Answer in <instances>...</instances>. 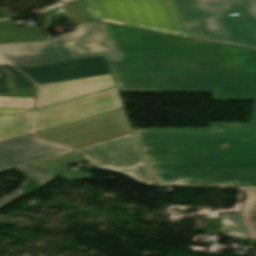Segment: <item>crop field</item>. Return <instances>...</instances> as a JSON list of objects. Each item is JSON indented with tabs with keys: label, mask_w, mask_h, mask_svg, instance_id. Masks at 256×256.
Wrapping results in <instances>:
<instances>
[{
	"label": "crop field",
	"mask_w": 256,
	"mask_h": 256,
	"mask_svg": "<svg viewBox=\"0 0 256 256\" xmlns=\"http://www.w3.org/2000/svg\"><path fill=\"white\" fill-rule=\"evenodd\" d=\"M121 62H108L120 91L214 92L256 100V51L106 23ZM212 129H134L143 152L256 154L253 123Z\"/></svg>",
	"instance_id": "crop-field-1"
},
{
	"label": "crop field",
	"mask_w": 256,
	"mask_h": 256,
	"mask_svg": "<svg viewBox=\"0 0 256 256\" xmlns=\"http://www.w3.org/2000/svg\"><path fill=\"white\" fill-rule=\"evenodd\" d=\"M36 135L71 146L98 168L155 185L124 108Z\"/></svg>",
	"instance_id": "crop-field-2"
},
{
	"label": "crop field",
	"mask_w": 256,
	"mask_h": 256,
	"mask_svg": "<svg viewBox=\"0 0 256 256\" xmlns=\"http://www.w3.org/2000/svg\"><path fill=\"white\" fill-rule=\"evenodd\" d=\"M156 185L256 187V155L143 153Z\"/></svg>",
	"instance_id": "crop-field-3"
},
{
	"label": "crop field",
	"mask_w": 256,
	"mask_h": 256,
	"mask_svg": "<svg viewBox=\"0 0 256 256\" xmlns=\"http://www.w3.org/2000/svg\"><path fill=\"white\" fill-rule=\"evenodd\" d=\"M190 37L256 50V0H176ZM239 13V16L228 14Z\"/></svg>",
	"instance_id": "crop-field-4"
},
{
	"label": "crop field",
	"mask_w": 256,
	"mask_h": 256,
	"mask_svg": "<svg viewBox=\"0 0 256 256\" xmlns=\"http://www.w3.org/2000/svg\"><path fill=\"white\" fill-rule=\"evenodd\" d=\"M0 53L21 68L101 55L120 61L105 22L94 20L51 41L0 46Z\"/></svg>",
	"instance_id": "crop-field-5"
},
{
	"label": "crop field",
	"mask_w": 256,
	"mask_h": 256,
	"mask_svg": "<svg viewBox=\"0 0 256 256\" xmlns=\"http://www.w3.org/2000/svg\"><path fill=\"white\" fill-rule=\"evenodd\" d=\"M91 18L188 36L175 0H83Z\"/></svg>",
	"instance_id": "crop-field-6"
},
{
	"label": "crop field",
	"mask_w": 256,
	"mask_h": 256,
	"mask_svg": "<svg viewBox=\"0 0 256 256\" xmlns=\"http://www.w3.org/2000/svg\"><path fill=\"white\" fill-rule=\"evenodd\" d=\"M117 87L90 96L38 109L35 133L122 108Z\"/></svg>",
	"instance_id": "crop-field-7"
},
{
	"label": "crop field",
	"mask_w": 256,
	"mask_h": 256,
	"mask_svg": "<svg viewBox=\"0 0 256 256\" xmlns=\"http://www.w3.org/2000/svg\"><path fill=\"white\" fill-rule=\"evenodd\" d=\"M72 151L64 145L41 141L29 134L0 143V173Z\"/></svg>",
	"instance_id": "crop-field-8"
},
{
	"label": "crop field",
	"mask_w": 256,
	"mask_h": 256,
	"mask_svg": "<svg viewBox=\"0 0 256 256\" xmlns=\"http://www.w3.org/2000/svg\"><path fill=\"white\" fill-rule=\"evenodd\" d=\"M18 69L38 85L111 73L104 56Z\"/></svg>",
	"instance_id": "crop-field-9"
},
{
	"label": "crop field",
	"mask_w": 256,
	"mask_h": 256,
	"mask_svg": "<svg viewBox=\"0 0 256 256\" xmlns=\"http://www.w3.org/2000/svg\"><path fill=\"white\" fill-rule=\"evenodd\" d=\"M111 76L102 75L39 86L37 109L115 87Z\"/></svg>",
	"instance_id": "crop-field-10"
},
{
	"label": "crop field",
	"mask_w": 256,
	"mask_h": 256,
	"mask_svg": "<svg viewBox=\"0 0 256 256\" xmlns=\"http://www.w3.org/2000/svg\"><path fill=\"white\" fill-rule=\"evenodd\" d=\"M34 110L0 109V140L32 131Z\"/></svg>",
	"instance_id": "crop-field-11"
},
{
	"label": "crop field",
	"mask_w": 256,
	"mask_h": 256,
	"mask_svg": "<svg viewBox=\"0 0 256 256\" xmlns=\"http://www.w3.org/2000/svg\"><path fill=\"white\" fill-rule=\"evenodd\" d=\"M47 40L38 27L18 29L10 21L0 22V44Z\"/></svg>",
	"instance_id": "crop-field-12"
},
{
	"label": "crop field",
	"mask_w": 256,
	"mask_h": 256,
	"mask_svg": "<svg viewBox=\"0 0 256 256\" xmlns=\"http://www.w3.org/2000/svg\"><path fill=\"white\" fill-rule=\"evenodd\" d=\"M83 161L84 160L81 159L76 153L72 152L35 164H31V166L40 168L63 178L80 180L81 178L64 169V167Z\"/></svg>",
	"instance_id": "crop-field-13"
},
{
	"label": "crop field",
	"mask_w": 256,
	"mask_h": 256,
	"mask_svg": "<svg viewBox=\"0 0 256 256\" xmlns=\"http://www.w3.org/2000/svg\"><path fill=\"white\" fill-rule=\"evenodd\" d=\"M37 86L0 95V108L34 109Z\"/></svg>",
	"instance_id": "crop-field-14"
},
{
	"label": "crop field",
	"mask_w": 256,
	"mask_h": 256,
	"mask_svg": "<svg viewBox=\"0 0 256 256\" xmlns=\"http://www.w3.org/2000/svg\"><path fill=\"white\" fill-rule=\"evenodd\" d=\"M0 75V93L36 85L12 65H0Z\"/></svg>",
	"instance_id": "crop-field-15"
},
{
	"label": "crop field",
	"mask_w": 256,
	"mask_h": 256,
	"mask_svg": "<svg viewBox=\"0 0 256 256\" xmlns=\"http://www.w3.org/2000/svg\"><path fill=\"white\" fill-rule=\"evenodd\" d=\"M246 199L241 210V218L250 239H256V189H243Z\"/></svg>",
	"instance_id": "crop-field-16"
},
{
	"label": "crop field",
	"mask_w": 256,
	"mask_h": 256,
	"mask_svg": "<svg viewBox=\"0 0 256 256\" xmlns=\"http://www.w3.org/2000/svg\"><path fill=\"white\" fill-rule=\"evenodd\" d=\"M221 219L225 226L221 229L223 235L230 238L249 239L240 218V213H224Z\"/></svg>",
	"instance_id": "crop-field-17"
},
{
	"label": "crop field",
	"mask_w": 256,
	"mask_h": 256,
	"mask_svg": "<svg viewBox=\"0 0 256 256\" xmlns=\"http://www.w3.org/2000/svg\"><path fill=\"white\" fill-rule=\"evenodd\" d=\"M63 7L66 8V12L62 14L77 25L90 19L82 0L69 2Z\"/></svg>",
	"instance_id": "crop-field-18"
},
{
	"label": "crop field",
	"mask_w": 256,
	"mask_h": 256,
	"mask_svg": "<svg viewBox=\"0 0 256 256\" xmlns=\"http://www.w3.org/2000/svg\"><path fill=\"white\" fill-rule=\"evenodd\" d=\"M20 169L23 170L28 176L35 179L41 185H44L47 182H49V181H51L52 179L55 178V175L47 173V172L42 171L40 169L31 167L29 165H27L25 167H22Z\"/></svg>",
	"instance_id": "crop-field-19"
},
{
	"label": "crop field",
	"mask_w": 256,
	"mask_h": 256,
	"mask_svg": "<svg viewBox=\"0 0 256 256\" xmlns=\"http://www.w3.org/2000/svg\"><path fill=\"white\" fill-rule=\"evenodd\" d=\"M21 191V190H20ZM20 191L16 192L15 194H13L12 196L6 198L5 200L0 202V208H2L3 206L7 205L8 203H10L11 201L21 197L22 195L18 194ZM12 203V202H11Z\"/></svg>",
	"instance_id": "crop-field-20"
},
{
	"label": "crop field",
	"mask_w": 256,
	"mask_h": 256,
	"mask_svg": "<svg viewBox=\"0 0 256 256\" xmlns=\"http://www.w3.org/2000/svg\"><path fill=\"white\" fill-rule=\"evenodd\" d=\"M0 63H8V61H6L5 59H3V58L0 56Z\"/></svg>",
	"instance_id": "crop-field-21"
},
{
	"label": "crop field",
	"mask_w": 256,
	"mask_h": 256,
	"mask_svg": "<svg viewBox=\"0 0 256 256\" xmlns=\"http://www.w3.org/2000/svg\"><path fill=\"white\" fill-rule=\"evenodd\" d=\"M64 1H67V0H61V2H64Z\"/></svg>",
	"instance_id": "crop-field-22"
}]
</instances>
